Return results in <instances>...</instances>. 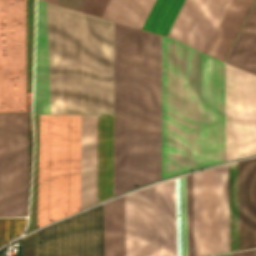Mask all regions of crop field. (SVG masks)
I'll use <instances>...</instances> for the list:
<instances>
[{
    "mask_svg": "<svg viewBox=\"0 0 256 256\" xmlns=\"http://www.w3.org/2000/svg\"><path fill=\"white\" fill-rule=\"evenodd\" d=\"M114 111L115 196L161 179V36L115 22ZM230 112L231 66L162 36V178L230 159ZM252 154L256 76L232 67L231 159Z\"/></svg>",
    "mask_w": 256,
    "mask_h": 256,
    "instance_id": "1",
    "label": "crop field"
},
{
    "mask_svg": "<svg viewBox=\"0 0 256 256\" xmlns=\"http://www.w3.org/2000/svg\"><path fill=\"white\" fill-rule=\"evenodd\" d=\"M101 205L36 232V256H100ZM101 256H156L154 184L102 205Z\"/></svg>",
    "mask_w": 256,
    "mask_h": 256,
    "instance_id": "2",
    "label": "crop field"
},
{
    "mask_svg": "<svg viewBox=\"0 0 256 256\" xmlns=\"http://www.w3.org/2000/svg\"><path fill=\"white\" fill-rule=\"evenodd\" d=\"M26 112L25 0H0V113ZM27 113L0 114V216H26Z\"/></svg>",
    "mask_w": 256,
    "mask_h": 256,
    "instance_id": "3",
    "label": "crop field"
},
{
    "mask_svg": "<svg viewBox=\"0 0 256 256\" xmlns=\"http://www.w3.org/2000/svg\"><path fill=\"white\" fill-rule=\"evenodd\" d=\"M80 210V115H39L38 227Z\"/></svg>",
    "mask_w": 256,
    "mask_h": 256,
    "instance_id": "4",
    "label": "crop field"
},
{
    "mask_svg": "<svg viewBox=\"0 0 256 256\" xmlns=\"http://www.w3.org/2000/svg\"><path fill=\"white\" fill-rule=\"evenodd\" d=\"M222 253L239 249L238 161L219 166ZM218 166L202 171L205 256L221 253ZM201 171L193 173L194 256H204Z\"/></svg>",
    "mask_w": 256,
    "mask_h": 256,
    "instance_id": "5",
    "label": "crop field"
},
{
    "mask_svg": "<svg viewBox=\"0 0 256 256\" xmlns=\"http://www.w3.org/2000/svg\"><path fill=\"white\" fill-rule=\"evenodd\" d=\"M157 256H193L192 173L155 184Z\"/></svg>",
    "mask_w": 256,
    "mask_h": 256,
    "instance_id": "6",
    "label": "crop field"
},
{
    "mask_svg": "<svg viewBox=\"0 0 256 256\" xmlns=\"http://www.w3.org/2000/svg\"><path fill=\"white\" fill-rule=\"evenodd\" d=\"M229 2L184 0L167 37L180 39L205 52Z\"/></svg>",
    "mask_w": 256,
    "mask_h": 256,
    "instance_id": "7",
    "label": "crop field"
},
{
    "mask_svg": "<svg viewBox=\"0 0 256 256\" xmlns=\"http://www.w3.org/2000/svg\"><path fill=\"white\" fill-rule=\"evenodd\" d=\"M240 250L256 247V158L239 161Z\"/></svg>",
    "mask_w": 256,
    "mask_h": 256,
    "instance_id": "8",
    "label": "crop field"
},
{
    "mask_svg": "<svg viewBox=\"0 0 256 256\" xmlns=\"http://www.w3.org/2000/svg\"><path fill=\"white\" fill-rule=\"evenodd\" d=\"M33 113H50L46 2L37 0Z\"/></svg>",
    "mask_w": 256,
    "mask_h": 256,
    "instance_id": "9",
    "label": "crop field"
},
{
    "mask_svg": "<svg viewBox=\"0 0 256 256\" xmlns=\"http://www.w3.org/2000/svg\"><path fill=\"white\" fill-rule=\"evenodd\" d=\"M96 204V115H81V210Z\"/></svg>",
    "mask_w": 256,
    "mask_h": 256,
    "instance_id": "10",
    "label": "crop field"
},
{
    "mask_svg": "<svg viewBox=\"0 0 256 256\" xmlns=\"http://www.w3.org/2000/svg\"><path fill=\"white\" fill-rule=\"evenodd\" d=\"M113 196V115H97V203Z\"/></svg>",
    "mask_w": 256,
    "mask_h": 256,
    "instance_id": "11",
    "label": "crop field"
},
{
    "mask_svg": "<svg viewBox=\"0 0 256 256\" xmlns=\"http://www.w3.org/2000/svg\"><path fill=\"white\" fill-rule=\"evenodd\" d=\"M103 0H84L80 10L96 15ZM107 0H104L97 15L100 16ZM132 0H108L101 17L122 22ZM155 0H133L123 23L142 28Z\"/></svg>",
    "mask_w": 256,
    "mask_h": 256,
    "instance_id": "12",
    "label": "crop field"
},
{
    "mask_svg": "<svg viewBox=\"0 0 256 256\" xmlns=\"http://www.w3.org/2000/svg\"><path fill=\"white\" fill-rule=\"evenodd\" d=\"M252 0H231L206 53L222 60Z\"/></svg>",
    "mask_w": 256,
    "mask_h": 256,
    "instance_id": "13",
    "label": "crop field"
},
{
    "mask_svg": "<svg viewBox=\"0 0 256 256\" xmlns=\"http://www.w3.org/2000/svg\"><path fill=\"white\" fill-rule=\"evenodd\" d=\"M226 62L256 73V2Z\"/></svg>",
    "mask_w": 256,
    "mask_h": 256,
    "instance_id": "14",
    "label": "crop field"
},
{
    "mask_svg": "<svg viewBox=\"0 0 256 256\" xmlns=\"http://www.w3.org/2000/svg\"><path fill=\"white\" fill-rule=\"evenodd\" d=\"M183 0H156L143 29L166 35Z\"/></svg>",
    "mask_w": 256,
    "mask_h": 256,
    "instance_id": "15",
    "label": "crop field"
},
{
    "mask_svg": "<svg viewBox=\"0 0 256 256\" xmlns=\"http://www.w3.org/2000/svg\"><path fill=\"white\" fill-rule=\"evenodd\" d=\"M26 218H0V245L22 233Z\"/></svg>",
    "mask_w": 256,
    "mask_h": 256,
    "instance_id": "16",
    "label": "crop field"
},
{
    "mask_svg": "<svg viewBox=\"0 0 256 256\" xmlns=\"http://www.w3.org/2000/svg\"><path fill=\"white\" fill-rule=\"evenodd\" d=\"M21 256H35V232L21 238Z\"/></svg>",
    "mask_w": 256,
    "mask_h": 256,
    "instance_id": "17",
    "label": "crop field"
},
{
    "mask_svg": "<svg viewBox=\"0 0 256 256\" xmlns=\"http://www.w3.org/2000/svg\"><path fill=\"white\" fill-rule=\"evenodd\" d=\"M45 1H49L56 4L58 0H45ZM82 2L83 0H59L58 5L79 10Z\"/></svg>",
    "mask_w": 256,
    "mask_h": 256,
    "instance_id": "18",
    "label": "crop field"
},
{
    "mask_svg": "<svg viewBox=\"0 0 256 256\" xmlns=\"http://www.w3.org/2000/svg\"><path fill=\"white\" fill-rule=\"evenodd\" d=\"M218 256H231V253L225 255H218ZM232 256H256V249L239 251L232 253Z\"/></svg>",
    "mask_w": 256,
    "mask_h": 256,
    "instance_id": "19",
    "label": "crop field"
}]
</instances>
